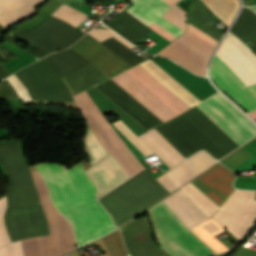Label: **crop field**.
I'll return each mask as SVG.
<instances>
[{"mask_svg":"<svg viewBox=\"0 0 256 256\" xmlns=\"http://www.w3.org/2000/svg\"><path fill=\"white\" fill-rule=\"evenodd\" d=\"M231 32L237 35L245 44L256 38V15L243 8Z\"/></svg>","mask_w":256,"mask_h":256,"instance_id":"d3111659","label":"crop field"},{"mask_svg":"<svg viewBox=\"0 0 256 256\" xmlns=\"http://www.w3.org/2000/svg\"><path fill=\"white\" fill-rule=\"evenodd\" d=\"M155 129L185 158L205 149L220 159L238 147L196 106Z\"/></svg>","mask_w":256,"mask_h":256,"instance_id":"34b2d1b8","label":"crop field"},{"mask_svg":"<svg viewBox=\"0 0 256 256\" xmlns=\"http://www.w3.org/2000/svg\"><path fill=\"white\" fill-rule=\"evenodd\" d=\"M132 43H137L145 37L151 29L123 11L113 19L104 23Z\"/></svg>","mask_w":256,"mask_h":256,"instance_id":"4177f3b9","label":"crop field"},{"mask_svg":"<svg viewBox=\"0 0 256 256\" xmlns=\"http://www.w3.org/2000/svg\"><path fill=\"white\" fill-rule=\"evenodd\" d=\"M6 79L10 82L13 88L16 89L17 93L19 94L20 98L24 101V103L32 101L26 88L22 85V83L16 78L14 74Z\"/></svg>","mask_w":256,"mask_h":256,"instance_id":"e1f06a70","label":"crop field"},{"mask_svg":"<svg viewBox=\"0 0 256 256\" xmlns=\"http://www.w3.org/2000/svg\"><path fill=\"white\" fill-rule=\"evenodd\" d=\"M44 1L45 0H0V23L3 24L33 8H36ZM33 13H35V9L3 24V26L7 28Z\"/></svg>","mask_w":256,"mask_h":256,"instance_id":"730fd06b","label":"crop field"},{"mask_svg":"<svg viewBox=\"0 0 256 256\" xmlns=\"http://www.w3.org/2000/svg\"><path fill=\"white\" fill-rule=\"evenodd\" d=\"M5 96L19 98L18 94L15 92V90L6 79L0 84V97Z\"/></svg>","mask_w":256,"mask_h":256,"instance_id":"c21b1889","label":"crop field"},{"mask_svg":"<svg viewBox=\"0 0 256 256\" xmlns=\"http://www.w3.org/2000/svg\"><path fill=\"white\" fill-rule=\"evenodd\" d=\"M216 53L247 86L256 83V56L230 32Z\"/></svg>","mask_w":256,"mask_h":256,"instance_id":"cbeb9de0","label":"crop field"},{"mask_svg":"<svg viewBox=\"0 0 256 256\" xmlns=\"http://www.w3.org/2000/svg\"><path fill=\"white\" fill-rule=\"evenodd\" d=\"M0 164L10 179L8 206L40 203L30 170L17 141L0 144Z\"/></svg>","mask_w":256,"mask_h":256,"instance_id":"d8731c3e","label":"crop field"},{"mask_svg":"<svg viewBox=\"0 0 256 256\" xmlns=\"http://www.w3.org/2000/svg\"><path fill=\"white\" fill-rule=\"evenodd\" d=\"M4 220L12 242L50 235L41 204L7 208Z\"/></svg>","mask_w":256,"mask_h":256,"instance_id":"22f410ed","label":"crop field"},{"mask_svg":"<svg viewBox=\"0 0 256 256\" xmlns=\"http://www.w3.org/2000/svg\"><path fill=\"white\" fill-rule=\"evenodd\" d=\"M0 256H22L20 241L10 243L0 248Z\"/></svg>","mask_w":256,"mask_h":256,"instance_id":"b80d0937","label":"crop field"},{"mask_svg":"<svg viewBox=\"0 0 256 256\" xmlns=\"http://www.w3.org/2000/svg\"><path fill=\"white\" fill-rule=\"evenodd\" d=\"M160 246L171 256H212L228 250L214 236L225 228L212 218L189 231L162 201L149 209Z\"/></svg>","mask_w":256,"mask_h":256,"instance_id":"ac0d7876","label":"crop field"},{"mask_svg":"<svg viewBox=\"0 0 256 256\" xmlns=\"http://www.w3.org/2000/svg\"><path fill=\"white\" fill-rule=\"evenodd\" d=\"M50 64L60 77L90 63L70 48L47 56Z\"/></svg>","mask_w":256,"mask_h":256,"instance_id":"ae1a2a85","label":"crop field"},{"mask_svg":"<svg viewBox=\"0 0 256 256\" xmlns=\"http://www.w3.org/2000/svg\"><path fill=\"white\" fill-rule=\"evenodd\" d=\"M196 106L239 146L256 135V127L220 93Z\"/></svg>","mask_w":256,"mask_h":256,"instance_id":"3316defc","label":"crop field"},{"mask_svg":"<svg viewBox=\"0 0 256 256\" xmlns=\"http://www.w3.org/2000/svg\"><path fill=\"white\" fill-rule=\"evenodd\" d=\"M11 75L8 71H6L2 66H0V78H5Z\"/></svg>","mask_w":256,"mask_h":256,"instance_id":"5d738f31","label":"crop field"},{"mask_svg":"<svg viewBox=\"0 0 256 256\" xmlns=\"http://www.w3.org/2000/svg\"><path fill=\"white\" fill-rule=\"evenodd\" d=\"M214 163L216 161L212 157L200 151L156 179L172 192Z\"/></svg>","mask_w":256,"mask_h":256,"instance_id":"214f88e0","label":"crop field"},{"mask_svg":"<svg viewBox=\"0 0 256 256\" xmlns=\"http://www.w3.org/2000/svg\"><path fill=\"white\" fill-rule=\"evenodd\" d=\"M95 87L147 130L163 123L111 79Z\"/></svg>","mask_w":256,"mask_h":256,"instance_id":"733c2abd","label":"crop field"},{"mask_svg":"<svg viewBox=\"0 0 256 256\" xmlns=\"http://www.w3.org/2000/svg\"><path fill=\"white\" fill-rule=\"evenodd\" d=\"M87 174L93 178L98 187V199L130 179L110 154L89 169Z\"/></svg>","mask_w":256,"mask_h":256,"instance_id":"92a150f3","label":"crop field"},{"mask_svg":"<svg viewBox=\"0 0 256 256\" xmlns=\"http://www.w3.org/2000/svg\"><path fill=\"white\" fill-rule=\"evenodd\" d=\"M134 5L128 8L127 11L132 16L140 20L145 25H150L155 22L162 28L166 29L175 36H179L184 31L171 24L161 16L171 7L162 0H133Z\"/></svg>","mask_w":256,"mask_h":256,"instance_id":"dafd665d","label":"crop field"},{"mask_svg":"<svg viewBox=\"0 0 256 256\" xmlns=\"http://www.w3.org/2000/svg\"><path fill=\"white\" fill-rule=\"evenodd\" d=\"M155 23V22H154ZM151 24L150 28H152L155 32H157L158 34H160L161 36H163L165 39H167L168 41H173L175 38V36H173L172 34H170L169 32L165 31L164 29H162L161 27L157 26L156 24Z\"/></svg>","mask_w":256,"mask_h":256,"instance_id":"03da06ac","label":"crop field"},{"mask_svg":"<svg viewBox=\"0 0 256 256\" xmlns=\"http://www.w3.org/2000/svg\"><path fill=\"white\" fill-rule=\"evenodd\" d=\"M214 48L187 30L158 54L172 58L197 74L205 75V67Z\"/></svg>","mask_w":256,"mask_h":256,"instance_id":"d1516ede","label":"crop field"},{"mask_svg":"<svg viewBox=\"0 0 256 256\" xmlns=\"http://www.w3.org/2000/svg\"><path fill=\"white\" fill-rule=\"evenodd\" d=\"M81 13L63 4L56 12L52 14V16L76 27L85 18H87V16L83 15L84 13Z\"/></svg>","mask_w":256,"mask_h":256,"instance_id":"120bbe31","label":"crop field"},{"mask_svg":"<svg viewBox=\"0 0 256 256\" xmlns=\"http://www.w3.org/2000/svg\"><path fill=\"white\" fill-rule=\"evenodd\" d=\"M170 193L146 169L102 199L117 226Z\"/></svg>","mask_w":256,"mask_h":256,"instance_id":"412701ff","label":"crop field"},{"mask_svg":"<svg viewBox=\"0 0 256 256\" xmlns=\"http://www.w3.org/2000/svg\"><path fill=\"white\" fill-rule=\"evenodd\" d=\"M150 230L146 217L133 220L121 228L130 256H168L152 241Z\"/></svg>","mask_w":256,"mask_h":256,"instance_id":"4a817a6b","label":"crop field"},{"mask_svg":"<svg viewBox=\"0 0 256 256\" xmlns=\"http://www.w3.org/2000/svg\"><path fill=\"white\" fill-rule=\"evenodd\" d=\"M111 79L163 122L190 108L139 65Z\"/></svg>","mask_w":256,"mask_h":256,"instance_id":"f4fd0767","label":"crop field"},{"mask_svg":"<svg viewBox=\"0 0 256 256\" xmlns=\"http://www.w3.org/2000/svg\"><path fill=\"white\" fill-rule=\"evenodd\" d=\"M210 76L248 112L256 109V84L246 87L216 55L210 63Z\"/></svg>","mask_w":256,"mask_h":256,"instance_id":"d9b57169","label":"crop field"},{"mask_svg":"<svg viewBox=\"0 0 256 256\" xmlns=\"http://www.w3.org/2000/svg\"><path fill=\"white\" fill-rule=\"evenodd\" d=\"M91 36H93L98 41H103L111 36L115 37L117 40L122 42L124 45H126L128 48H133L132 45H130L128 42H126L124 39L116 35L114 32H112L110 29H94L90 33Z\"/></svg>","mask_w":256,"mask_h":256,"instance_id":"028f5c9d","label":"crop field"},{"mask_svg":"<svg viewBox=\"0 0 256 256\" xmlns=\"http://www.w3.org/2000/svg\"><path fill=\"white\" fill-rule=\"evenodd\" d=\"M74 98L103 145L127 173L133 177L145 169L115 132L86 91Z\"/></svg>","mask_w":256,"mask_h":256,"instance_id":"e52e79f7","label":"crop field"},{"mask_svg":"<svg viewBox=\"0 0 256 256\" xmlns=\"http://www.w3.org/2000/svg\"><path fill=\"white\" fill-rule=\"evenodd\" d=\"M4 30H6L3 26H1L0 25V33L2 32V31H4Z\"/></svg>","mask_w":256,"mask_h":256,"instance_id":"425ffa30","label":"crop field"},{"mask_svg":"<svg viewBox=\"0 0 256 256\" xmlns=\"http://www.w3.org/2000/svg\"><path fill=\"white\" fill-rule=\"evenodd\" d=\"M139 138L170 168L184 160V157L155 129L139 136Z\"/></svg>","mask_w":256,"mask_h":256,"instance_id":"eef30255","label":"crop field"},{"mask_svg":"<svg viewBox=\"0 0 256 256\" xmlns=\"http://www.w3.org/2000/svg\"><path fill=\"white\" fill-rule=\"evenodd\" d=\"M188 30H190L191 32L195 33L196 35H198L199 37H201L205 41L209 42L213 46H216L217 43H218V42L214 41L213 39H211L210 37H208L205 34H203L202 32L198 31L197 29H195L194 27H192L189 24H188Z\"/></svg>","mask_w":256,"mask_h":256,"instance_id":"b54c1fbb","label":"crop field"},{"mask_svg":"<svg viewBox=\"0 0 256 256\" xmlns=\"http://www.w3.org/2000/svg\"><path fill=\"white\" fill-rule=\"evenodd\" d=\"M35 167L49 187L52 203L74 226L78 247L117 229L96 200V187L81 163L67 171L57 164Z\"/></svg>","mask_w":256,"mask_h":256,"instance_id":"8a807250","label":"crop field"},{"mask_svg":"<svg viewBox=\"0 0 256 256\" xmlns=\"http://www.w3.org/2000/svg\"><path fill=\"white\" fill-rule=\"evenodd\" d=\"M208 218L219 207L212 200H210L206 195H204L200 190H198L194 185L188 183L183 188L180 189Z\"/></svg>","mask_w":256,"mask_h":256,"instance_id":"750c4746","label":"crop field"},{"mask_svg":"<svg viewBox=\"0 0 256 256\" xmlns=\"http://www.w3.org/2000/svg\"><path fill=\"white\" fill-rule=\"evenodd\" d=\"M70 48L111 77L133 66L88 34Z\"/></svg>","mask_w":256,"mask_h":256,"instance_id":"5142ce71","label":"crop field"},{"mask_svg":"<svg viewBox=\"0 0 256 256\" xmlns=\"http://www.w3.org/2000/svg\"><path fill=\"white\" fill-rule=\"evenodd\" d=\"M167 4H169L171 7L175 8L177 11L182 13L184 16H186V12L175 6L174 4L179 1V0H163ZM171 8L167 13H165L162 17L166 18L167 20L171 21L175 25H177L179 28L182 30H185V20L186 17H184L182 14L177 12L175 9Z\"/></svg>","mask_w":256,"mask_h":256,"instance_id":"5866460e","label":"crop field"},{"mask_svg":"<svg viewBox=\"0 0 256 256\" xmlns=\"http://www.w3.org/2000/svg\"><path fill=\"white\" fill-rule=\"evenodd\" d=\"M236 174L224 166L217 164L212 169L191 181L219 206L234 190L232 181Z\"/></svg>","mask_w":256,"mask_h":256,"instance_id":"bc2a9ffb","label":"crop field"},{"mask_svg":"<svg viewBox=\"0 0 256 256\" xmlns=\"http://www.w3.org/2000/svg\"><path fill=\"white\" fill-rule=\"evenodd\" d=\"M40 24V23H39ZM17 35L35 46L49 52L64 50L81 38L84 33L50 16L32 30H24Z\"/></svg>","mask_w":256,"mask_h":256,"instance_id":"28ad6ade","label":"crop field"},{"mask_svg":"<svg viewBox=\"0 0 256 256\" xmlns=\"http://www.w3.org/2000/svg\"><path fill=\"white\" fill-rule=\"evenodd\" d=\"M85 145L90 155L92 165H94L96 162L100 161L107 155V151L99 142L90 127H88L87 130Z\"/></svg>","mask_w":256,"mask_h":256,"instance_id":"bd1437ed","label":"crop field"},{"mask_svg":"<svg viewBox=\"0 0 256 256\" xmlns=\"http://www.w3.org/2000/svg\"><path fill=\"white\" fill-rule=\"evenodd\" d=\"M42 205L48 218L51 236L35 237L21 241L24 256H61L75 249L71 226L51 205L47 187L38 171L32 172Z\"/></svg>","mask_w":256,"mask_h":256,"instance_id":"dd49c442","label":"crop field"},{"mask_svg":"<svg viewBox=\"0 0 256 256\" xmlns=\"http://www.w3.org/2000/svg\"><path fill=\"white\" fill-rule=\"evenodd\" d=\"M6 209V196L0 199V246L10 242L3 224V214Z\"/></svg>","mask_w":256,"mask_h":256,"instance_id":"0bd39190","label":"crop field"},{"mask_svg":"<svg viewBox=\"0 0 256 256\" xmlns=\"http://www.w3.org/2000/svg\"><path fill=\"white\" fill-rule=\"evenodd\" d=\"M102 43L133 65L145 60L140 56H138L137 54H135L130 49H128L127 47H125L124 45H122L113 37Z\"/></svg>","mask_w":256,"mask_h":256,"instance_id":"1d83c4d3","label":"crop field"},{"mask_svg":"<svg viewBox=\"0 0 256 256\" xmlns=\"http://www.w3.org/2000/svg\"><path fill=\"white\" fill-rule=\"evenodd\" d=\"M14 74L28 89L33 101L75 103L46 57Z\"/></svg>","mask_w":256,"mask_h":256,"instance_id":"5a996713","label":"crop field"},{"mask_svg":"<svg viewBox=\"0 0 256 256\" xmlns=\"http://www.w3.org/2000/svg\"><path fill=\"white\" fill-rule=\"evenodd\" d=\"M15 40H22V41L27 42L26 40L22 39L21 37L15 35V34H13V33L9 34V36H8V38H7V41H9V42L15 44ZM27 43H29V42H27ZM29 45H30L31 49L28 50V52L32 53V54L35 55L37 58L40 59V58H42V57H44V56L49 55V54H47L46 52H44V51L38 49L37 47H35V46L32 45L31 43H29ZM32 54H31V55H32ZM35 56H34V57H35Z\"/></svg>","mask_w":256,"mask_h":256,"instance_id":"c035e120","label":"crop field"},{"mask_svg":"<svg viewBox=\"0 0 256 256\" xmlns=\"http://www.w3.org/2000/svg\"><path fill=\"white\" fill-rule=\"evenodd\" d=\"M253 11L256 12V7H250Z\"/></svg>","mask_w":256,"mask_h":256,"instance_id":"25e5ab78","label":"crop field"},{"mask_svg":"<svg viewBox=\"0 0 256 256\" xmlns=\"http://www.w3.org/2000/svg\"><path fill=\"white\" fill-rule=\"evenodd\" d=\"M102 240L111 256H123L128 254L123 245L119 231Z\"/></svg>","mask_w":256,"mask_h":256,"instance_id":"d32e631a","label":"crop field"},{"mask_svg":"<svg viewBox=\"0 0 256 256\" xmlns=\"http://www.w3.org/2000/svg\"><path fill=\"white\" fill-rule=\"evenodd\" d=\"M62 78L68 84L74 96L111 77L90 63Z\"/></svg>","mask_w":256,"mask_h":256,"instance_id":"a9b5d70f","label":"crop field"},{"mask_svg":"<svg viewBox=\"0 0 256 256\" xmlns=\"http://www.w3.org/2000/svg\"><path fill=\"white\" fill-rule=\"evenodd\" d=\"M163 201L189 229L208 220L180 190L169 195Z\"/></svg>","mask_w":256,"mask_h":256,"instance_id":"00972430","label":"crop field"},{"mask_svg":"<svg viewBox=\"0 0 256 256\" xmlns=\"http://www.w3.org/2000/svg\"><path fill=\"white\" fill-rule=\"evenodd\" d=\"M248 115H249L254 121H256V111L250 112V113H248Z\"/></svg>","mask_w":256,"mask_h":256,"instance_id":"d23c7cc5","label":"crop field"}]
</instances>
